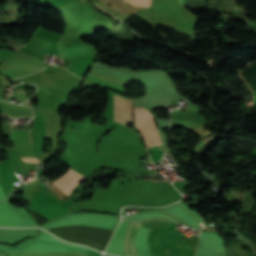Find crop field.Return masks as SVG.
Wrapping results in <instances>:
<instances>
[{"label": "crop field", "instance_id": "3", "mask_svg": "<svg viewBox=\"0 0 256 256\" xmlns=\"http://www.w3.org/2000/svg\"><path fill=\"white\" fill-rule=\"evenodd\" d=\"M198 243L226 255L223 239L216 233L201 232Z\"/></svg>", "mask_w": 256, "mask_h": 256}, {"label": "crop field", "instance_id": "8", "mask_svg": "<svg viewBox=\"0 0 256 256\" xmlns=\"http://www.w3.org/2000/svg\"><path fill=\"white\" fill-rule=\"evenodd\" d=\"M136 7H148L151 4V0H126Z\"/></svg>", "mask_w": 256, "mask_h": 256}, {"label": "crop field", "instance_id": "6", "mask_svg": "<svg viewBox=\"0 0 256 256\" xmlns=\"http://www.w3.org/2000/svg\"><path fill=\"white\" fill-rule=\"evenodd\" d=\"M138 130L142 134L148 149L158 148L157 145L162 144L157 128H140ZM159 148H163V145H160Z\"/></svg>", "mask_w": 256, "mask_h": 256}, {"label": "crop field", "instance_id": "5", "mask_svg": "<svg viewBox=\"0 0 256 256\" xmlns=\"http://www.w3.org/2000/svg\"><path fill=\"white\" fill-rule=\"evenodd\" d=\"M142 222H130L124 241V253L127 256H137L134 248V235Z\"/></svg>", "mask_w": 256, "mask_h": 256}, {"label": "crop field", "instance_id": "1", "mask_svg": "<svg viewBox=\"0 0 256 256\" xmlns=\"http://www.w3.org/2000/svg\"><path fill=\"white\" fill-rule=\"evenodd\" d=\"M9 140L13 142L19 156L34 157L31 153L29 131H11ZM21 159L27 162H38L36 158L21 157Z\"/></svg>", "mask_w": 256, "mask_h": 256}, {"label": "crop field", "instance_id": "9", "mask_svg": "<svg viewBox=\"0 0 256 256\" xmlns=\"http://www.w3.org/2000/svg\"><path fill=\"white\" fill-rule=\"evenodd\" d=\"M88 79H91V80H94L96 82H99V83H102V84H105V85H108V86H111V87H114L116 89H119V90H122L123 91V87H120L118 85H115V84H112V83H109V82H106L104 80H101V79H98V78H95L93 76H88Z\"/></svg>", "mask_w": 256, "mask_h": 256}, {"label": "crop field", "instance_id": "4", "mask_svg": "<svg viewBox=\"0 0 256 256\" xmlns=\"http://www.w3.org/2000/svg\"><path fill=\"white\" fill-rule=\"evenodd\" d=\"M113 118L123 123L133 122L131 103L116 97Z\"/></svg>", "mask_w": 256, "mask_h": 256}, {"label": "crop field", "instance_id": "2", "mask_svg": "<svg viewBox=\"0 0 256 256\" xmlns=\"http://www.w3.org/2000/svg\"><path fill=\"white\" fill-rule=\"evenodd\" d=\"M84 178L86 177L70 168L65 174L52 182L69 196L71 190Z\"/></svg>", "mask_w": 256, "mask_h": 256}, {"label": "crop field", "instance_id": "11", "mask_svg": "<svg viewBox=\"0 0 256 256\" xmlns=\"http://www.w3.org/2000/svg\"><path fill=\"white\" fill-rule=\"evenodd\" d=\"M70 63V62H69Z\"/></svg>", "mask_w": 256, "mask_h": 256}, {"label": "crop field", "instance_id": "10", "mask_svg": "<svg viewBox=\"0 0 256 256\" xmlns=\"http://www.w3.org/2000/svg\"><path fill=\"white\" fill-rule=\"evenodd\" d=\"M122 3V2H121ZM124 4V3H123ZM126 5V4H125ZM128 6V5H127Z\"/></svg>", "mask_w": 256, "mask_h": 256}, {"label": "crop field", "instance_id": "7", "mask_svg": "<svg viewBox=\"0 0 256 256\" xmlns=\"http://www.w3.org/2000/svg\"><path fill=\"white\" fill-rule=\"evenodd\" d=\"M92 55H95V54L86 50L85 48L81 47L78 44L68 48L63 53V56L66 57L69 60H74V59L79 58V57H87V56H92Z\"/></svg>", "mask_w": 256, "mask_h": 256}]
</instances>
